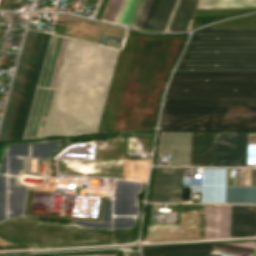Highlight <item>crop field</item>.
<instances>
[{"mask_svg": "<svg viewBox=\"0 0 256 256\" xmlns=\"http://www.w3.org/2000/svg\"><path fill=\"white\" fill-rule=\"evenodd\" d=\"M117 52L68 39L42 137L95 131Z\"/></svg>", "mask_w": 256, "mask_h": 256, "instance_id": "obj_1", "label": "crop field"}, {"mask_svg": "<svg viewBox=\"0 0 256 256\" xmlns=\"http://www.w3.org/2000/svg\"><path fill=\"white\" fill-rule=\"evenodd\" d=\"M256 71V27L193 32L174 72Z\"/></svg>", "mask_w": 256, "mask_h": 256, "instance_id": "obj_2", "label": "crop field"}, {"mask_svg": "<svg viewBox=\"0 0 256 256\" xmlns=\"http://www.w3.org/2000/svg\"><path fill=\"white\" fill-rule=\"evenodd\" d=\"M159 129L256 130V99H165Z\"/></svg>", "mask_w": 256, "mask_h": 256, "instance_id": "obj_3", "label": "crop field"}, {"mask_svg": "<svg viewBox=\"0 0 256 256\" xmlns=\"http://www.w3.org/2000/svg\"><path fill=\"white\" fill-rule=\"evenodd\" d=\"M165 98H256V72L174 73Z\"/></svg>", "mask_w": 256, "mask_h": 256, "instance_id": "obj_4", "label": "crop field"}, {"mask_svg": "<svg viewBox=\"0 0 256 256\" xmlns=\"http://www.w3.org/2000/svg\"><path fill=\"white\" fill-rule=\"evenodd\" d=\"M67 39L50 35L38 87L22 139L42 136Z\"/></svg>", "mask_w": 256, "mask_h": 256, "instance_id": "obj_5", "label": "crop field"}, {"mask_svg": "<svg viewBox=\"0 0 256 256\" xmlns=\"http://www.w3.org/2000/svg\"><path fill=\"white\" fill-rule=\"evenodd\" d=\"M214 133L161 134L158 153H170V164L212 166Z\"/></svg>", "mask_w": 256, "mask_h": 256, "instance_id": "obj_6", "label": "crop field"}, {"mask_svg": "<svg viewBox=\"0 0 256 256\" xmlns=\"http://www.w3.org/2000/svg\"><path fill=\"white\" fill-rule=\"evenodd\" d=\"M38 32L30 30L26 32L21 55L16 68L15 76L9 93L2 124L0 127V140L8 139L17 110L18 102L28 70V62L34 50Z\"/></svg>", "mask_w": 256, "mask_h": 256, "instance_id": "obj_7", "label": "crop field"}, {"mask_svg": "<svg viewBox=\"0 0 256 256\" xmlns=\"http://www.w3.org/2000/svg\"><path fill=\"white\" fill-rule=\"evenodd\" d=\"M49 35L47 33L38 34V39L34 54L31 60L29 71L27 74L25 86L20 100L18 112L13 126L10 139H21L31 108L34 92L36 89L39 73L41 70L44 54L46 51Z\"/></svg>", "mask_w": 256, "mask_h": 256, "instance_id": "obj_8", "label": "crop field"}, {"mask_svg": "<svg viewBox=\"0 0 256 256\" xmlns=\"http://www.w3.org/2000/svg\"><path fill=\"white\" fill-rule=\"evenodd\" d=\"M153 0H109L101 20L142 29Z\"/></svg>", "mask_w": 256, "mask_h": 256, "instance_id": "obj_9", "label": "crop field"}, {"mask_svg": "<svg viewBox=\"0 0 256 256\" xmlns=\"http://www.w3.org/2000/svg\"><path fill=\"white\" fill-rule=\"evenodd\" d=\"M248 133H215L213 166H245Z\"/></svg>", "mask_w": 256, "mask_h": 256, "instance_id": "obj_10", "label": "crop field"}, {"mask_svg": "<svg viewBox=\"0 0 256 256\" xmlns=\"http://www.w3.org/2000/svg\"><path fill=\"white\" fill-rule=\"evenodd\" d=\"M182 169L156 167L151 202H181Z\"/></svg>", "mask_w": 256, "mask_h": 256, "instance_id": "obj_11", "label": "crop field"}, {"mask_svg": "<svg viewBox=\"0 0 256 256\" xmlns=\"http://www.w3.org/2000/svg\"><path fill=\"white\" fill-rule=\"evenodd\" d=\"M206 237L229 236L230 206H206Z\"/></svg>", "mask_w": 256, "mask_h": 256, "instance_id": "obj_12", "label": "crop field"}, {"mask_svg": "<svg viewBox=\"0 0 256 256\" xmlns=\"http://www.w3.org/2000/svg\"><path fill=\"white\" fill-rule=\"evenodd\" d=\"M213 244L144 247L143 256H209Z\"/></svg>", "mask_w": 256, "mask_h": 256, "instance_id": "obj_13", "label": "crop field"}, {"mask_svg": "<svg viewBox=\"0 0 256 256\" xmlns=\"http://www.w3.org/2000/svg\"><path fill=\"white\" fill-rule=\"evenodd\" d=\"M195 1L196 0H176L164 32L190 30Z\"/></svg>", "mask_w": 256, "mask_h": 256, "instance_id": "obj_14", "label": "crop field"}, {"mask_svg": "<svg viewBox=\"0 0 256 256\" xmlns=\"http://www.w3.org/2000/svg\"><path fill=\"white\" fill-rule=\"evenodd\" d=\"M175 0H154L143 28L163 30Z\"/></svg>", "mask_w": 256, "mask_h": 256, "instance_id": "obj_15", "label": "crop field"}, {"mask_svg": "<svg viewBox=\"0 0 256 256\" xmlns=\"http://www.w3.org/2000/svg\"><path fill=\"white\" fill-rule=\"evenodd\" d=\"M198 0L197 9L256 8V0Z\"/></svg>", "mask_w": 256, "mask_h": 256, "instance_id": "obj_16", "label": "crop field"}, {"mask_svg": "<svg viewBox=\"0 0 256 256\" xmlns=\"http://www.w3.org/2000/svg\"><path fill=\"white\" fill-rule=\"evenodd\" d=\"M82 256H116V255L94 254V255H82Z\"/></svg>", "mask_w": 256, "mask_h": 256, "instance_id": "obj_17", "label": "crop field"}, {"mask_svg": "<svg viewBox=\"0 0 256 256\" xmlns=\"http://www.w3.org/2000/svg\"><path fill=\"white\" fill-rule=\"evenodd\" d=\"M12 0H8L4 9H8Z\"/></svg>", "mask_w": 256, "mask_h": 256, "instance_id": "obj_18", "label": "crop field"}]
</instances>
